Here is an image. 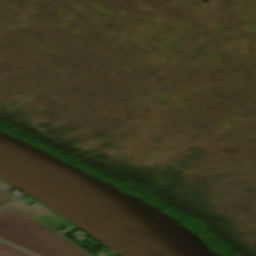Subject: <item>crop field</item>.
Returning a JSON list of instances; mask_svg holds the SVG:
<instances>
[{
    "label": "crop field",
    "instance_id": "1",
    "mask_svg": "<svg viewBox=\"0 0 256 256\" xmlns=\"http://www.w3.org/2000/svg\"><path fill=\"white\" fill-rule=\"evenodd\" d=\"M0 239L38 256H91L13 205L0 210Z\"/></svg>",
    "mask_w": 256,
    "mask_h": 256
},
{
    "label": "crop field",
    "instance_id": "2",
    "mask_svg": "<svg viewBox=\"0 0 256 256\" xmlns=\"http://www.w3.org/2000/svg\"><path fill=\"white\" fill-rule=\"evenodd\" d=\"M0 256H33L5 243L0 242Z\"/></svg>",
    "mask_w": 256,
    "mask_h": 256
},
{
    "label": "crop field",
    "instance_id": "3",
    "mask_svg": "<svg viewBox=\"0 0 256 256\" xmlns=\"http://www.w3.org/2000/svg\"><path fill=\"white\" fill-rule=\"evenodd\" d=\"M12 202H14V200H12L10 197H8L3 192L0 193V208L5 206V205H8Z\"/></svg>",
    "mask_w": 256,
    "mask_h": 256
},
{
    "label": "crop field",
    "instance_id": "4",
    "mask_svg": "<svg viewBox=\"0 0 256 256\" xmlns=\"http://www.w3.org/2000/svg\"><path fill=\"white\" fill-rule=\"evenodd\" d=\"M8 188H10L9 185H7V184H5V183L0 181V192L3 191L4 193H6L4 190H6ZM6 194L16 201V199L13 198L11 195H9L8 193H6Z\"/></svg>",
    "mask_w": 256,
    "mask_h": 256
}]
</instances>
